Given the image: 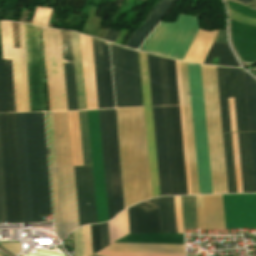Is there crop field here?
Wrapping results in <instances>:
<instances>
[{
	"label": "crop field",
	"instance_id": "obj_34",
	"mask_svg": "<svg viewBox=\"0 0 256 256\" xmlns=\"http://www.w3.org/2000/svg\"><path fill=\"white\" fill-rule=\"evenodd\" d=\"M110 244L129 234L127 210L108 223Z\"/></svg>",
	"mask_w": 256,
	"mask_h": 256
},
{
	"label": "crop field",
	"instance_id": "obj_45",
	"mask_svg": "<svg viewBox=\"0 0 256 256\" xmlns=\"http://www.w3.org/2000/svg\"><path fill=\"white\" fill-rule=\"evenodd\" d=\"M96 255L100 256H185V254H136V253H113L109 251H101Z\"/></svg>",
	"mask_w": 256,
	"mask_h": 256
},
{
	"label": "crop field",
	"instance_id": "obj_46",
	"mask_svg": "<svg viewBox=\"0 0 256 256\" xmlns=\"http://www.w3.org/2000/svg\"><path fill=\"white\" fill-rule=\"evenodd\" d=\"M0 218H1V221H6L2 161H1V147H0Z\"/></svg>",
	"mask_w": 256,
	"mask_h": 256
},
{
	"label": "crop field",
	"instance_id": "obj_36",
	"mask_svg": "<svg viewBox=\"0 0 256 256\" xmlns=\"http://www.w3.org/2000/svg\"><path fill=\"white\" fill-rule=\"evenodd\" d=\"M184 229H197L194 196L181 197Z\"/></svg>",
	"mask_w": 256,
	"mask_h": 256
},
{
	"label": "crop field",
	"instance_id": "obj_6",
	"mask_svg": "<svg viewBox=\"0 0 256 256\" xmlns=\"http://www.w3.org/2000/svg\"><path fill=\"white\" fill-rule=\"evenodd\" d=\"M200 194L212 193L200 65L187 63Z\"/></svg>",
	"mask_w": 256,
	"mask_h": 256
},
{
	"label": "crop field",
	"instance_id": "obj_44",
	"mask_svg": "<svg viewBox=\"0 0 256 256\" xmlns=\"http://www.w3.org/2000/svg\"><path fill=\"white\" fill-rule=\"evenodd\" d=\"M0 57H2L1 39H0ZM0 112H6L2 58H0Z\"/></svg>",
	"mask_w": 256,
	"mask_h": 256
},
{
	"label": "crop field",
	"instance_id": "obj_19",
	"mask_svg": "<svg viewBox=\"0 0 256 256\" xmlns=\"http://www.w3.org/2000/svg\"><path fill=\"white\" fill-rule=\"evenodd\" d=\"M99 116H100L101 138H102L108 215H109V219H111L112 217L115 216V210H114V200H113V189H112V178H111V168H110V157H109L105 110L99 111Z\"/></svg>",
	"mask_w": 256,
	"mask_h": 256
},
{
	"label": "crop field",
	"instance_id": "obj_9",
	"mask_svg": "<svg viewBox=\"0 0 256 256\" xmlns=\"http://www.w3.org/2000/svg\"><path fill=\"white\" fill-rule=\"evenodd\" d=\"M222 132L231 131L227 97H234L237 131H248L242 69L216 67Z\"/></svg>",
	"mask_w": 256,
	"mask_h": 256
},
{
	"label": "crop field",
	"instance_id": "obj_35",
	"mask_svg": "<svg viewBox=\"0 0 256 256\" xmlns=\"http://www.w3.org/2000/svg\"><path fill=\"white\" fill-rule=\"evenodd\" d=\"M92 43H93V54H94L97 103H98V109H102V108H105V104H104V94H103V84H102V74H101V64H100L99 44H98V40L93 38H92Z\"/></svg>",
	"mask_w": 256,
	"mask_h": 256
},
{
	"label": "crop field",
	"instance_id": "obj_5",
	"mask_svg": "<svg viewBox=\"0 0 256 256\" xmlns=\"http://www.w3.org/2000/svg\"><path fill=\"white\" fill-rule=\"evenodd\" d=\"M198 29V16L179 13L174 24L161 21L140 50L183 60Z\"/></svg>",
	"mask_w": 256,
	"mask_h": 256
},
{
	"label": "crop field",
	"instance_id": "obj_22",
	"mask_svg": "<svg viewBox=\"0 0 256 256\" xmlns=\"http://www.w3.org/2000/svg\"><path fill=\"white\" fill-rule=\"evenodd\" d=\"M163 112L167 145L170 190L171 195H179L170 107H163Z\"/></svg>",
	"mask_w": 256,
	"mask_h": 256
},
{
	"label": "crop field",
	"instance_id": "obj_41",
	"mask_svg": "<svg viewBox=\"0 0 256 256\" xmlns=\"http://www.w3.org/2000/svg\"><path fill=\"white\" fill-rule=\"evenodd\" d=\"M167 63H168L171 105H175V104H179L176 73H175V64H174V60L168 59V58H167Z\"/></svg>",
	"mask_w": 256,
	"mask_h": 256
},
{
	"label": "crop field",
	"instance_id": "obj_8",
	"mask_svg": "<svg viewBox=\"0 0 256 256\" xmlns=\"http://www.w3.org/2000/svg\"><path fill=\"white\" fill-rule=\"evenodd\" d=\"M7 223H21L13 114H0Z\"/></svg>",
	"mask_w": 256,
	"mask_h": 256
},
{
	"label": "crop field",
	"instance_id": "obj_43",
	"mask_svg": "<svg viewBox=\"0 0 256 256\" xmlns=\"http://www.w3.org/2000/svg\"><path fill=\"white\" fill-rule=\"evenodd\" d=\"M232 138H233V150H234L237 192H242L236 133H232Z\"/></svg>",
	"mask_w": 256,
	"mask_h": 256
},
{
	"label": "crop field",
	"instance_id": "obj_17",
	"mask_svg": "<svg viewBox=\"0 0 256 256\" xmlns=\"http://www.w3.org/2000/svg\"><path fill=\"white\" fill-rule=\"evenodd\" d=\"M67 106L77 110L70 32L60 31Z\"/></svg>",
	"mask_w": 256,
	"mask_h": 256
},
{
	"label": "crop field",
	"instance_id": "obj_40",
	"mask_svg": "<svg viewBox=\"0 0 256 256\" xmlns=\"http://www.w3.org/2000/svg\"><path fill=\"white\" fill-rule=\"evenodd\" d=\"M163 105H170L166 58L158 57Z\"/></svg>",
	"mask_w": 256,
	"mask_h": 256
},
{
	"label": "crop field",
	"instance_id": "obj_29",
	"mask_svg": "<svg viewBox=\"0 0 256 256\" xmlns=\"http://www.w3.org/2000/svg\"><path fill=\"white\" fill-rule=\"evenodd\" d=\"M100 54L106 108H114L108 43L100 41Z\"/></svg>",
	"mask_w": 256,
	"mask_h": 256
},
{
	"label": "crop field",
	"instance_id": "obj_2",
	"mask_svg": "<svg viewBox=\"0 0 256 256\" xmlns=\"http://www.w3.org/2000/svg\"><path fill=\"white\" fill-rule=\"evenodd\" d=\"M57 168H51L56 234L66 238L79 227L67 112L52 113Z\"/></svg>",
	"mask_w": 256,
	"mask_h": 256
},
{
	"label": "crop field",
	"instance_id": "obj_30",
	"mask_svg": "<svg viewBox=\"0 0 256 256\" xmlns=\"http://www.w3.org/2000/svg\"><path fill=\"white\" fill-rule=\"evenodd\" d=\"M73 166L83 165L78 112H68Z\"/></svg>",
	"mask_w": 256,
	"mask_h": 256
},
{
	"label": "crop field",
	"instance_id": "obj_31",
	"mask_svg": "<svg viewBox=\"0 0 256 256\" xmlns=\"http://www.w3.org/2000/svg\"><path fill=\"white\" fill-rule=\"evenodd\" d=\"M249 131H256V80L243 71Z\"/></svg>",
	"mask_w": 256,
	"mask_h": 256
},
{
	"label": "crop field",
	"instance_id": "obj_4",
	"mask_svg": "<svg viewBox=\"0 0 256 256\" xmlns=\"http://www.w3.org/2000/svg\"><path fill=\"white\" fill-rule=\"evenodd\" d=\"M201 70L213 193H227L215 67Z\"/></svg>",
	"mask_w": 256,
	"mask_h": 256
},
{
	"label": "crop field",
	"instance_id": "obj_32",
	"mask_svg": "<svg viewBox=\"0 0 256 256\" xmlns=\"http://www.w3.org/2000/svg\"><path fill=\"white\" fill-rule=\"evenodd\" d=\"M147 59L152 106L162 105L157 57L147 54Z\"/></svg>",
	"mask_w": 256,
	"mask_h": 256
},
{
	"label": "crop field",
	"instance_id": "obj_11",
	"mask_svg": "<svg viewBox=\"0 0 256 256\" xmlns=\"http://www.w3.org/2000/svg\"><path fill=\"white\" fill-rule=\"evenodd\" d=\"M22 223L31 222L23 113L14 114Z\"/></svg>",
	"mask_w": 256,
	"mask_h": 256
},
{
	"label": "crop field",
	"instance_id": "obj_15",
	"mask_svg": "<svg viewBox=\"0 0 256 256\" xmlns=\"http://www.w3.org/2000/svg\"><path fill=\"white\" fill-rule=\"evenodd\" d=\"M116 214L123 210L114 110H106Z\"/></svg>",
	"mask_w": 256,
	"mask_h": 256
},
{
	"label": "crop field",
	"instance_id": "obj_55",
	"mask_svg": "<svg viewBox=\"0 0 256 256\" xmlns=\"http://www.w3.org/2000/svg\"><path fill=\"white\" fill-rule=\"evenodd\" d=\"M237 1H240V2H242V3L246 4V5H248L251 0H237Z\"/></svg>",
	"mask_w": 256,
	"mask_h": 256
},
{
	"label": "crop field",
	"instance_id": "obj_33",
	"mask_svg": "<svg viewBox=\"0 0 256 256\" xmlns=\"http://www.w3.org/2000/svg\"><path fill=\"white\" fill-rule=\"evenodd\" d=\"M228 193L236 192L231 133L223 134Z\"/></svg>",
	"mask_w": 256,
	"mask_h": 256
},
{
	"label": "crop field",
	"instance_id": "obj_18",
	"mask_svg": "<svg viewBox=\"0 0 256 256\" xmlns=\"http://www.w3.org/2000/svg\"><path fill=\"white\" fill-rule=\"evenodd\" d=\"M174 1L175 0H162L153 10L143 26L131 36L126 44V47L137 50L145 38L162 19Z\"/></svg>",
	"mask_w": 256,
	"mask_h": 256
},
{
	"label": "crop field",
	"instance_id": "obj_28",
	"mask_svg": "<svg viewBox=\"0 0 256 256\" xmlns=\"http://www.w3.org/2000/svg\"><path fill=\"white\" fill-rule=\"evenodd\" d=\"M161 232L177 233L173 197L157 198Z\"/></svg>",
	"mask_w": 256,
	"mask_h": 256
},
{
	"label": "crop field",
	"instance_id": "obj_26",
	"mask_svg": "<svg viewBox=\"0 0 256 256\" xmlns=\"http://www.w3.org/2000/svg\"><path fill=\"white\" fill-rule=\"evenodd\" d=\"M216 41L227 43L225 29L220 31ZM214 41L204 63L211 64L213 57H220L219 64L221 66H239L235 56L233 55L229 45Z\"/></svg>",
	"mask_w": 256,
	"mask_h": 256
},
{
	"label": "crop field",
	"instance_id": "obj_49",
	"mask_svg": "<svg viewBox=\"0 0 256 256\" xmlns=\"http://www.w3.org/2000/svg\"><path fill=\"white\" fill-rule=\"evenodd\" d=\"M102 248L109 245L107 223L99 225Z\"/></svg>",
	"mask_w": 256,
	"mask_h": 256
},
{
	"label": "crop field",
	"instance_id": "obj_48",
	"mask_svg": "<svg viewBox=\"0 0 256 256\" xmlns=\"http://www.w3.org/2000/svg\"><path fill=\"white\" fill-rule=\"evenodd\" d=\"M93 253L101 250L98 225H91Z\"/></svg>",
	"mask_w": 256,
	"mask_h": 256
},
{
	"label": "crop field",
	"instance_id": "obj_39",
	"mask_svg": "<svg viewBox=\"0 0 256 256\" xmlns=\"http://www.w3.org/2000/svg\"><path fill=\"white\" fill-rule=\"evenodd\" d=\"M139 57L144 106H151L146 54L139 52Z\"/></svg>",
	"mask_w": 256,
	"mask_h": 256
},
{
	"label": "crop field",
	"instance_id": "obj_52",
	"mask_svg": "<svg viewBox=\"0 0 256 256\" xmlns=\"http://www.w3.org/2000/svg\"><path fill=\"white\" fill-rule=\"evenodd\" d=\"M14 242H18V241H14ZM2 246H4L6 249L19 254L20 252V247H19V243H0Z\"/></svg>",
	"mask_w": 256,
	"mask_h": 256
},
{
	"label": "crop field",
	"instance_id": "obj_56",
	"mask_svg": "<svg viewBox=\"0 0 256 256\" xmlns=\"http://www.w3.org/2000/svg\"><path fill=\"white\" fill-rule=\"evenodd\" d=\"M256 68V67H255ZM251 69H254V68H251ZM248 70H250V69H248Z\"/></svg>",
	"mask_w": 256,
	"mask_h": 256
},
{
	"label": "crop field",
	"instance_id": "obj_20",
	"mask_svg": "<svg viewBox=\"0 0 256 256\" xmlns=\"http://www.w3.org/2000/svg\"><path fill=\"white\" fill-rule=\"evenodd\" d=\"M171 111H172L179 191H180V195H184V194H187V189H186V178H185V167H184V156H183V144H182L179 106L171 107Z\"/></svg>",
	"mask_w": 256,
	"mask_h": 256
},
{
	"label": "crop field",
	"instance_id": "obj_3",
	"mask_svg": "<svg viewBox=\"0 0 256 256\" xmlns=\"http://www.w3.org/2000/svg\"><path fill=\"white\" fill-rule=\"evenodd\" d=\"M32 222L51 215L43 113H24Z\"/></svg>",
	"mask_w": 256,
	"mask_h": 256
},
{
	"label": "crop field",
	"instance_id": "obj_51",
	"mask_svg": "<svg viewBox=\"0 0 256 256\" xmlns=\"http://www.w3.org/2000/svg\"><path fill=\"white\" fill-rule=\"evenodd\" d=\"M232 131H236L233 98H228Z\"/></svg>",
	"mask_w": 256,
	"mask_h": 256
},
{
	"label": "crop field",
	"instance_id": "obj_50",
	"mask_svg": "<svg viewBox=\"0 0 256 256\" xmlns=\"http://www.w3.org/2000/svg\"><path fill=\"white\" fill-rule=\"evenodd\" d=\"M130 233H137L134 206L128 209Z\"/></svg>",
	"mask_w": 256,
	"mask_h": 256
},
{
	"label": "crop field",
	"instance_id": "obj_13",
	"mask_svg": "<svg viewBox=\"0 0 256 256\" xmlns=\"http://www.w3.org/2000/svg\"><path fill=\"white\" fill-rule=\"evenodd\" d=\"M198 229H225L221 195L195 196Z\"/></svg>",
	"mask_w": 256,
	"mask_h": 256
},
{
	"label": "crop field",
	"instance_id": "obj_37",
	"mask_svg": "<svg viewBox=\"0 0 256 256\" xmlns=\"http://www.w3.org/2000/svg\"><path fill=\"white\" fill-rule=\"evenodd\" d=\"M5 72L7 112H15L11 60H3Z\"/></svg>",
	"mask_w": 256,
	"mask_h": 256
},
{
	"label": "crop field",
	"instance_id": "obj_21",
	"mask_svg": "<svg viewBox=\"0 0 256 256\" xmlns=\"http://www.w3.org/2000/svg\"><path fill=\"white\" fill-rule=\"evenodd\" d=\"M138 233L160 232L156 199L135 205Z\"/></svg>",
	"mask_w": 256,
	"mask_h": 256
},
{
	"label": "crop field",
	"instance_id": "obj_25",
	"mask_svg": "<svg viewBox=\"0 0 256 256\" xmlns=\"http://www.w3.org/2000/svg\"><path fill=\"white\" fill-rule=\"evenodd\" d=\"M183 110H184L191 190H192V194H199L190 106H183Z\"/></svg>",
	"mask_w": 256,
	"mask_h": 256
},
{
	"label": "crop field",
	"instance_id": "obj_1",
	"mask_svg": "<svg viewBox=\"0 0 256 256\" xmlns=\"http://www.w3.org/2000/svg\"><path fill=\"white\" fill-rule=\"evenodd\" d=\"M126 208L152 198L143 108L117 109Z\"/></svg>",
	"mask_w": 256,
	"mask_h": 256
},
{
	"label": "crop field",
	"instance_id": "obj_53",
	"mask_svg": "<svg viewBox=\"0 0 256 256\" xmlns=\"http://www.w3.org/2000/svg\"><path fill=\"white\" fill-rule=\"evenodd\" d=\"M119 33L120 31H113L108 29L103 39L114 43Z\"/></svg>",
	"mask_w": 256,
	"mask_h": 256
},
{
	"label": "crop field",
	"instance_id": "obj_47",
	"mask_svg": "<svg viewBox=\"0 0 256 256\" xmlns=\"http://www.w3.org/2000/svg\"><path fill=\"white\" fill-rule=\"evenodd\" d=\"M249 137H250L254 187H255V192H256V132L255 133H249Z\"/></svg>",
	"mask_w": 256,
	"mask_h": 256
},
{
	"label": "crop field",
	"instance_id": "obj_42",
	"mask_svg": "<svg viewBox=\"0 0 256 256\" xmlns=\"http://www.w3.org/2000/svg\"><path fill=\"white\" fill-rule=\"evenodd\" d=\"M179 66L183 104H190L186 63L179 61Z\"/></svg>",
	"mask_w": 256,
	"mask_h": 256
},
{
	"label": "crop field",
	"instance_id": "obj_16",
	"mask_svg": "<svg viewBox=\"0 0 256 256\" xmlns=\"http://www.w3.org/2000/svg\"><path fill=\"white\" fill-rule=\"evenodd\" d=\"M80 40L87 109H97L91 38L80 35Z\"/></svg>",
	"mask_w": 256,
	"mask_h": 256
},
{
	"label": "crop field",
	"instance_id": "obj_7",
	"mask_svg": "<svg viewBox=\"0 0 256 256\" xmlns=\"http://www.w3.org/2000/svg\"><path fill=\"white\" fill-rule=\"evenodd\" d=\"M117 108L143 106L138 52L110 44Z\"/></svg>",
	"mask_w": 256,
	"mask_h": 256
},
{
	"label": "crop field",
	"instance_id": "obj_14",
	"mask_svg": "<svg viewBox=\"0 0 256 256\" xmlns=\"http://www.w3.org/2000/svg\"><path fill=\"white\" fill-rule=\"evenodd\" d=\"M152 111H153L160 191H161V195H170L162 107H152Z\"/></svg>",
	"mask_w": 256,
	"mask_h": 256
},
{
	"label": "crop field",
	"instance_id": "obj_38",
	"mask_svg": "<svg viewBox=\"0 0 256 256\" xmlns=\"http://www.w3.org/2000/svg\"><path fill=\"white\" fill-rule=\"evenodd\" d=\"M84 165H91L86 111L79 112Z\"/></svg>",
	"mask_w": 256,
	"mask_h": 256
},
{
	"label": "crop field",
	"instance_id": "obj_10",
	"mask_svg": "<svg viewBox=\"0 0 256 256\" xmlns=\"http://www.w3.org/2000/svg\"><path fill=\"white\" fill-rule=\"evenodd\" d=\"M31 111H45L39 28L24 24Z\"/></svg>",
	"mask_w": 256,
	"mask_h": 256
},
{
	"label": "crop field",
	"instance_id": "obj_24",
	"mask_svg": "<svg viewBox=\"0 0 256 256\" xmlns=\"http://www.w3.org/2000/svg\"><path fill=\"white\" fill-rule=\"evenodd\" d=\"M144 112H145L152 192H153V197H155V196L160 195V191H159V181H158V171H157V161H156V151H155V141H154V131H153L151 107L144 108Z\"/></svg>",
	"mask_w": 256,
	"mask_h": 256
},
{
	"label": "crop field",
	"instance_id": "obj_23",
	"mask_svg": "<svg viewBox=\"0 0 256 256\" xmlns=\"http://www.w3.org/2000/svg\"><path fill=\"white\" fill-rule=\"evenodd\" d=\"M243 192H254L248 133H237Z\"/></svg>",
	"mask_w": 256,
	"mask_h": 256
},
{
	"label": "crop field",
	"instance_id": "obj_12",
	"mask_svg": "<svg viewBox=\"0 0 256 256\" xmlns=\"http://www.w3.org/2000/svg\"><path fill=\"white\" fill-rule=\"evenodd\" d=\"M74 171L80 226L97 223L91 167H74Z\"/></svg>",
	"mask_w": 256,
	"mask_h": 256
},
{
	"label": "crop field",
	"instance_id": "obj_27",
	"mask_svg": "<svg viewBox=\"0 0 256 256\" xmlns=\"http://www.w3.org/2000/svg\"><path fill=\"white\" fill-rule=\"evenodd\" d=\"M117 242L184 244L183 234H130Z\"/></svg>",
	"mask_w": 256,
	"mask_h": 256
},
{
	"label": "crop field",
	"instance_id": "obj_54",
	"mask_svg": "<svg viewBox=\"0 0 256 256\" xmlns=\"http://www.w3.org/2000/svg\"><path fill=\"white\" fill-rule=\"evenodd\" d=\"M128 32L129 30L123 29L122 32L119 34L118 38L116 39L115 43L119 45Z\"/></svg>",
	"mask_w": 256,
	"mask_h": 256
}]
</instances>
